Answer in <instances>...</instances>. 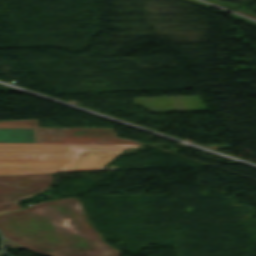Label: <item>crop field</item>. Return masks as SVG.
Listing matches in <instances>:
<instances>
[{"label": "crop field", "instance_id": "crop-field-1", "mask_svg": "<svg viewBox=\"0 0 256 256\" xmlns=\"http://www.w3.org/2000/svg\"><path fill=\"white\" fill-rule=\"evenodd\" d=\"M84 210L78 198L39 203L0 215L2 235L35 252L50 256H119L102 242L93 227L68 226L55 213Z\"/></svg>", "mask_w": 256, "mask_h": 256}, {"label": "crop field", "instance_id": "crop-field-2", "mask_svg": "<svg viewBox=\"0 0 256 256\" xmlns=\"http://www.w3.org/2000/svg\"><path fill=\"white\" fill-rule=\"evenodd\" d=\"M41 143L127 144L129 140L117 138L113 129L41 128Z\"/></svg>", "mask_w": 256, "mask_h": 256}, {"label": "crop field", "instance_id": "crop-field-3", "mask_svg": "<svg viewBox=\"0 0 256 256\" xmlns=\"http://www.w3.org/2000/svg\"><path fill=\"white\" fill-rule=\"evenodd\" d=\"M51 177L52 174L0 176V213L21 208L10 204L1 195L32 196L46 190Z\"/></svg>", "mask_w": 256, "mask_h": 256}, {"label": "crop field", "instance_id": "crop-field-4", "mask_svg": "<svg viewBox=\"0 0 256 256\" xmlns=\"http://www.w3.org/2000/svg\"><path fill=\"white\" fill-rule=\"evenodd\" d=\"M73 157L0 156V174L60 171Z\"/></svg>", "mask_w": 256, "mask_h": 256}, {"label": "crop field", "instance_id": "crop-field-5", "mask_svg": "<svg viewBox=\"0 0 256 256\" xmlns=\"http://www.w3.org/2000/svg\"><path fill=\"white\" fill-rule=\"evenodd\" d=\"M0 142L40 143L36 119L0 121Z\"/></svg>", "mask_w": 256, "mask_h": 256}, {"label": "crop field", "instance_id": "crop-field-6", "mask_svg": "<svg viewBox=\"0 0 256 256\" xmlns=\"http://www.w3.org/2000/svg\"><path fill=\"white\" fill-rule=\"evenodd\" d=\"M0 155L67 156V144L0 143Z\"/></svg>", "mask_w": 256, "mask_h": 256}, {"label": "crop field", "instance_id": "crop-field-7", "mask_svg": "<svg viewBox=\"0 0 256 256\" xmlns=\"http://www.w3.org/2000/svg\"><path fill=\"white\" fill-rule=\"evenodd\" d=\"M115 155L116 153L108 151L84 150L61 171H90L100 169Z\"/></svg>", "mask_w": 256, "mask_h": 256}, {"label": "crop field", "instance_id": "crop-field-8", "mask_svg": "<svg viewBox=\"0 0 256 256\" xmlns=\"http://www.w3.org/2000/svg\"><path fill=\"white\" fill-rule=\"evenodd\" d=\"M137 145H75L68 144V156L76 157L84 149L91 150H109L114 152H119L126 147H135Z\"/></svg>", "mask_w": 256, "mask_h": 256}, {"label": "crop field", "instance_id": "crop-field-9", "mask_svg": "<svg viewBox=\"0 0 256 256\" xmlns=\"http://www.w3.org/2000/svg\"><path fill=\"white\" fill-rule=\"evenodd\" d=\"M57 216L59 217L60 221L68 225L91 226L85 216L84 211L61 213V214H57Z\"/></svg>", "mask_w": 256, "mask_h": 256}, {"label": "crop field", "instance_id": "crop-field-10", "mask_svg": "<svg viewBox=\"0 0 256 256\" xmlns=\"http://www.w3.org/2000/svg\"><path fill=\"white\" fill-rule=\"evenodd\" d=\"M5 245L8 246L9 248H12V249L16 250V251L22 249V247L14 244V243H12V242H10L8 240H5Z\"/></svg>", "mask_w": 256, "mask_h": 256}, {"label": "crop field", "instance_id": "crop-field-11", "mask_svg": "<svg viewBox=\"0 0 256 256\" xmlns=\"http://www.w3.org/2000/svg\"><path fill=\"white\" fill-rule=\"evenodd\" d=\"M3 197L13 204H18V200L24 198V197H13V196H3Z\"/></svg>", "mask_w": 256, "mask_h": 256}, {"label": "crop field", "instance_id": "crop-field-12", "mask_svg": "<svg viewBox=\"0 0 256 256\" xmlns=\"http://www.w3.org/2000/svg\"><path fill=\"white\" fill-rule=\"evenodd\" d=\"M128 144H141V143H138V142H135V141H129V143Z\"/></svg>", "mask_w": 256, "mask_h": 256}]
</instances>
